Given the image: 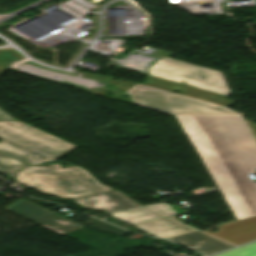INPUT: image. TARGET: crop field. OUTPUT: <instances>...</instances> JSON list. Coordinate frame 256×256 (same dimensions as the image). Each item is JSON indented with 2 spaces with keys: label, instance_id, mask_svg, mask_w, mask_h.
<instances>
[{
  "label": "crop field",
  "instance_id": "obj_1",
  "mask_svg": "<svg viewBox=\"0 0 256 256\" xmlns=\"http://www.w3.org/2000/svg\"><path fill=\"white\" fill-rule=\"evenodd\" d=\"M237 220L256 215V141L241 116H176Z\"/></svg>",
  "mask_w": 256,
  "mask_h": 256
},
{
  "label": "crop field",
  "instance_id": "obj_2",
  "mask_svg": "<svg viewBox=\"0 0 256 256\" xmlns=\"http://www.w3.org/2000/svg\"><path fill=\"white\" fill-rule=\"evenodd\" d=\"M15 179L46 195L71 198L85 208L104 213L140 207L117 190L101 185L87 171L74 166L60 169L58 163L46 167L30 165L19 171Z\"/></svg>",
  "mask_w": 256,
  "mask_h": 256
},
{
  "label": "crop field",
  "instance_id": "obj_3",
  "mask_svg": "<svg viewBox=\"0 0 256 256\" xmlns=\"http://www.w3.org/2000/svg\"><path fill=\"white\" fill-rule=\"evenodd\" d=\"M0 139V152L36 165L55 161L77 147L20 121L0 122Z\"/></svg>",
  "mask_w": 256,
  "mask_h": 256
},
{
  "label": "crop field",
  "instance_id": "obj_4",
  "mask_svg": "<svg viewBox=\"0 0 256 256\" xmlns=\"http://www.w3.org/2000/svg\"><path fill=\"white\" fill-rule=\"evenodd\" d=\"M135 105L171 115H238L224 106L180 96L139 84L129 92Z\"/></svg>",
  "mask_w": 256,
  "mask_h": 256
},
{
  "label": "crop field",
  "instance_id": "obj_5",
  "mask_svg": "<svg viewBox=\"0 0 256 256\" xmlns=\"http://www.w3.org/2000/svg\"><path fill=\"white\" fill-rule=\"evenodd\" d=\"M147 71L151 76L231 95L220 71L169 59L164 56Z\"/></svg>",
  "mask_w": 256,
  "mask_h": 256
},
{
  "label": "crop field",
  "instance_id": "obj_6",
  "mask_svg": "<svg viewBox=\"0 0 256 256\" xmlns=\"http://www.w3.org/2000/svg\"><path fill=\"white\" fill-rule=\"evenodd\" d=\"M174 214L170 205L163 203L110 215L164 239L197 231L172 220L169 216Z\"/></svg>",
  "mask_w": 256,
  "mask_h": 256
},
{
  "label": "crop field",
  "instance_id": "obj_7",
  "mask_svg": "<svg viewBox=\"0 0 256 256\" xmlns=\"http://www.w3.org/2000/svg\"><path fill=\"white\" fill-rule=\"evenodd\" d=\"M5 208L36 223H39L61 235L82 227L23 199Z\"/></svg>",
  "mask_w": 256,
  "mask_h": 256
},
{
  "label": "crop field",
  "instance_id": "obj_8",
  "mask_svg": "<svg viewBox=\"0 0 256 256\" xmlns=\"http://www.w3.org/2000/svg\"><path fill=\"white\" fill-rule=\"evenodd\" d=\"M218 232L204 231L213 236L240 245L256 239V216L217 226Z\"/></svg>",
  "mask_w": 256,
  "mask_h": 256
},
{
  "label": "crop field",
  "instance_id": "obj_9",
  "mask_svg": "<svg viewBox=\"0 0 256 256\" xmlns=\"http://www.w3.org/2000/svg\"><path fill=\"white\" fill-rule=\"evenodd\" d=\"M173 242L180 243L187 246L204 256L212 253L234 247L224 241L214 238L210 235L202 233L200 231L189 233L186 235L178 236L175 238L167 239Z\"/></svg>",
  "mask_w": 256,
  "mask_h": 256
},
{
  "label": "crop field",
  "instance_id": "obj_10",
  "mask_svg": "<svg viewBox=\"0 0 256 256\" xmlns=\"http://www.w3.org/2000/svg\"><path fill=\"white\" fill-rule=\"evenodd\" d=\"M178 92L180 95L224 105L226 107L233 105V101L227 99L226 97H222V96H218V95H214V94H210V93H206V92H202V91H198V90H194L186 87L182 88Z\"/></svg>",
  "mask_w": 256,
  "mask_h": 256
},
{
  "label": "crop field",
  "instance_id": "obj_11",
  "mask_svg": "<svg viewBox=\"0 0 256 256\" xmlns=\"http://www.w3.org/2000/svg\"><path fill=\"white\" fill-rule=\"evenodd\" d=\"M26 166V163L0 153V174L16 171Z\"/></svg>",
  "mask_w": 256,
  "mask_h": 256
},
{
  "label": "crop field",
  "instance_id": "obj_12",
  "mask_svg": "<svg viewBox=\"0 0 256 256\" xmlns=\"http://www.w3.org/2000/svg\"><path fill=\"white\" fill-rule=\"evenodd\" d=\"M143 84L154 87V88L170 91V92L178 91L183 87V86H179L176 84L168 83V82L150 78V77H148Z\"/></svg>",
  "mask_w": 256,
  "mask_h": 256
},
{
  "label": "crop field",
  "instance_id": "obj_13",
  "mask_svg": "<svg viewBox=\"0 0 256 256\" xmlns=\"http://www.w3.org/2000/svg\"><path fill=\"white\" fill-rule=\"evenodd\" d=\"M216 256H256V242Z\"/></svg>",
  "mask_w": 256,
  "mask_h": 256
},
{
  "label": "crop field",
  "instance_id": "obj_14",
  "mask_svg": "<svg viewBox=\"0 0 256 256\" xmlns=\"http://www.w3.org/2000/svg\"><path fill=\"white\" fill-rule=\"evenodd\" d=\"M10 120H16V119L0 108V121H10Z\"/></svg>",
  "mask_w": 256,
  "mask_h": 256
},
{
  "label": "crop field",
  "instance_id": "obj_15",
  "mask_svg": "<svg viewBox=\"0 0 256 256\" xmlns=\"http://www.w3.org/2000/svg\"><path fill=\"white\" fill-rule=\"evenodd\" d=\"M254 133H256V123H248Z\"/></svg>",
  "mask_w": 256,
  "mask_h": 256
},
{
  "label": "crop field",
  "instance_id": "obj_16",
  "mask_svg": "<svg viewBox=\"0 0 256 256\" xmlns=\"http://www.w3.org/2000/svg\"><path fill=\"white\" fill-rule=\"evenodd\" d=\"M255 136H256V134H255Z\"/></svg>",
  "mask_w": 256,
  "mask_h": 256
}]
</instances>
